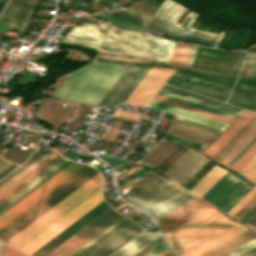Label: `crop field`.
Listing matches in <instances>:
<instances>
[{"label":"crop field","mask_w":256,"mask_h":256,"mask_svg":"<svg viewBox=\"0 0 256 256\" xmlns=\"http://www.w3.org/2000/svg\"><path fill=\"white\" fill-rule=\"evenodd\" d=\"M96 58L107 59V60H116V61H124V62L150 63V62H148L144 59L118 57V56H110V55H103V54H97ZM151 64H153V63H151ZM171 67H175V66H171ZM193 71H195V70H193ZM197 72H201V71H197ZM202 73H207V72H202Z\"/></svg>","instance_id":"39"},{"label":"crop field","mask_w":256,"mask_h":256,"mask_svg":"<svg viewBox=\"0 0 256 256\" xmlns=\"http://www.w3.org/2000/svg\"><path fill=\"white\" fill-rule=\"evenodd\" d=\"M196 45L194 46V49H193V52H192V56H191V59H190V62H189V67L191 66V63H192V60H193V56H194V53H195V50H196Z\"/></svg>","instance_id":"59"},{"label":"crop field","mask_w":256,"mask_h":256,"mask_svg":"<svg viewBox=\"0 0 256 256\" xmlns=\"http://www.w3.org/2000/svg\"><path fill=\"white\" fill-rule=\"evenodd\" d=\"M10 2H13L15 4L21 5L23 7L29 8V9H33L34 3L29 2L27 0H10Z\"/></svg>","instance_id":"49"},{"label":"crop field","mask_w":256,"mask_h":256,"mask_svg":"<svg viewBox=\"0 0 256 256\" xmlns=\"http://www.w3.org/2000/svg\"><path fill=\"white\" fill-rule=\"evenodd\" d=\"M174 69L152 67L126 102L146 105Z\"/></svg>","instance_id":"12"},{"label":"crop field","mask_w":256,"mask_h":256,"mask_svg":"<svg viewBox=\"0 0 256 256\" xmlns=\"http://www.w3.org/2000/svg\"><path fill=\"white\" fill-rule=\"evenodd\" d=\"M139 66L130 65L126 72L122 75L119 81L111 89L108 95L104 98L100 105L109 104L110 101L115 97L119 90L124 86V84L129 80L133 73L138 69ZM112 102V101H111Z\"/></svg>","instance_id":"30"},{"label":"crop field","mask_w":256,"mask_h":256,"mask_svg":"<svg viewBox=\"0 0 256 256\" xmlns=\"http://www.w3.org/2000/svg\"><path fill=\"white\" fill-rule=\"evenodd\" d=\"M29 1H32V2L36 3L37 0H29Z\"/></svg>","instance_id":"65"},{"label":"crop field","mask_w":256,"mask_h":256,"mask_svg":"<svg viewBox=\"0 0 256 256\" xmlns=\"http://www.w3.org/2000/svg\"><path fill=\"white\" fill-rule=\"evenodd\" d=\"M126 217H121L119 220H117L115 223H113L111 226H109L107 229H105L103 232H101L100 234H98L96 237H94L92 240H90L88 243H86L84 246H82L80 249H78L77 251H75L73 254H71L70 256H75L77 255L79 252H81L83 249H85L87 246H89L91 243H93L95 240H97L99 237H101L103 234H105L107 231H109L111 228H113L115 225H117L119 222H121L123 219H125Z\"/></svg>","instance_id":"42"},{"label":"crop field","mask_w":256,"mask_h":256,"mask_svg":"<svg viewBox=\"0 0 256 256\" xmlns=\"http://www.w3.org/2000/svg\"><path fill=\"white\" fill-rule=\"evenodd\" d=\"M16 167H18L17 165L13 164L11 165L9 168H7L5 171H3L0 174V179H2L4 176H6L8 173H10L12 170H14Z\"/></svg>","instance_id":"56"},{"label":"crop field","mask_w":256,"mask_h":256,"mask_svg":"<svg viewBox=\"0 0 256 256\" xmlns=\"http://www.w3.org/2000/svg\"><path fill=\"white\" fill-rule=\"evenodd\" d=\"M256 194V185L228 212L232 217Z\"/></svg>","instance_id":"40"},{"label":"crop field","mask_w":256,"mask_h":256,"mask_svg":"<svg viewBox=\"0 0 256 256\" xmlns=\"http://www.w3.org/2000/svg\"><path fill=\"white\" fill-rule=\"evenodd\" d=\"M244 62L256 63V44L248 48Z\"/></svg>","instance_id":"44"},{"label":"crop field","mask_w":256,"mask_h":256,"mask_svg":"<svg viewBox=\"0 0 256 256\" xmlns=\"http://www.w3.org/2000/svg\"><path fill=\"white\" fill-rule=\"evenodd\" d=\"M247 229L237 223L178 256H200Z\"/></svg>","instance_id":"17"},{"label":"crop field","mask_w":256,"mask_h":256,"mask_svg":"<svg viewBox=\"0 0 256 256\" xmlns=\"http://www.w3.org/2000/svg\"><path fill=\"white\" fill-rule=\"evenodd\" d=\"M252 77H256V66H255L254 73H253Z\"/></svg>","instance_id":"62"},{"label":"crop field","mask_w":256,"mask_h":256,"mask_svg":"<svg viewBox=\"0 0 256 256\" xmlns=\"http://www.w3.org/2000/svg\"><path fill=\"white\" fill-rule=\"evenodd\" d=\"M67 160H62L60 163H58L56 166H54L52 169H50L48 172H46L44 175H42L40 178H38L36 181L31 183L29 186H27L25 189H23L21 192H19L17 195H15L13 198H11L9 201H7L5 204L0 206V211L4 209L6 206H8L10 203H12L14 200H16L18 197H20L22 194H24L26 191H28L30 188H32L34 185H36L38 182H40L42 179L47 177L49 174H51L53 171H55L57 168H59L61 165H63Z\"/></svg>","instance_id":"35"},{"label":"crop field","mask_w":256,"mask_h":256,"mask_svg":"<svg viewBox=\"0 0 256 256\" xmlns=\"http://www.w3.org/2000/svg\"><path fill=\"white\" fill-rule=\"evenodd\" d=\"M254 113L244 111L218 138L208 145L202 152L212 156L232 135H234Z\"/></svg>","instance_id":"18"},{"label":"crop field","mask_w":256,"mask_h":256,"mask_svg":"<svg viewBox=\"0 0 256 256\" xmlns=\"http://www.w3.org/2000/svg\"><path fill=\"white\" fill-rule=\"evenodd\" d=\"M3 13L8 14L10 16H13L15 18H18V19L26 22L31 13V10H28L26 8H23V7H20L18 5L8 2L5 9L3 10Z\"/></svg>","instance_id":"32"},{"label":"crop field","mask_w":256,"mask_h":256,"mask_svg":"<svg viewBox=\"0 0 256 256\" xmlns=\"http://www.w3.org/2000/svg\"><path fill=\"white\" fill-rule=\"evenodd\" d=\"M62 159H64V158L61 157L60 155L57 156L55 159H53L51 162H49L47 165H45L43 168H41L39 171H37L31 177H29L27 180H25L23 183H21L19 186H17L11 192H9L7 195H5L3 198H1L0 205L5 203L7 200H9L11 197H13L15 194H17L19 191H21L23 188H25L31 182L36 180L38 177H40L42 174H44L46 171H48L50 168H52L54 165H56L58 162H60Z\"/></svg>","instance_id":"26"},{"label":"crop field","mask_w":256,"mask_h":256,"mask_svg":"<svg viewBox=\"0 0 256 256\" xmlns=\"http://www.w3.org/2000/svg\"><path fill=\"white\" fill-rule=\"evenodd\" d=\"M148 106L162 109V110L168 111L170 113H173V114H176V115H179V116H182V117H185V118L197 121V122H201V123H204V124H207V125H210V126L222 129V130H224L228 126V124H225V123L213 120V119H209V118H206V117H203V116H200V115H197V114H194V113H191V112H188V111H185V110L173 107V106H169V105H166V104L154 101V100H152Z\"/></svg>","instance_id":"19"},{"label":"crop field","mask_w":256,"mask_h":256,"mask_svg":"<svg viewBox=\"0 0 256 256\" xmlns=\"http://www.w3.org/2000/svg\"><path fill=\"white\" fill-rule=\"evenodd\" d=\"M256 155V143L253 144L230 168L240 171Z\"/></svg>","instance_id":"34"},{"label":"crop field","mask_w":256,"mask_h":256,"mask_svg":"<svg viewBox=\"0 0 256 256\" xmlns=\"http://www.w3.org/2000/svg\"><path fill=\"white\" fill-rule=\"evenodd\" d=\"M190 150H191V149L186 150V151L180 156V158L165 172V174H166V173H167V172H168V171L186 154V153H188ZM191 151H192V150H191ZM191 151H190V152H191ZM190 152H189V153H190ZM189 153H188V154H189ZM195 153H196V152L192 151L189 155L187 154L188 156L185 155V156H184V157L166 174V175L168 176V175L170 174V172L187 156V157L171 172V174L168 176V177L171 178L179 169H181V168L183 167V165H184L188 160H190V159L194 156ZM200 155H201V154L196 153L195 156H194L190 161H188V162L184 165V167H183L180 171H178L171 179H173V180L175 181L181 174H183V173L188 169V167H189ZM202 157H203V156L201 155V156L190 166V168H189L183 175H181L175 182L177 183V182H178V181H179V180H180V179H181V178H182V177H183V176H184V175L202 158ZM203 158H204V157H203ZM203 158H202V159H203ZM202 159H201V160H202ZM201 160H200V161H201ZM200 161H199V162H200ZM199 162H198V163H199ZM198 163H197V164H198ZM197 164H196V165H197ZM196 165H195V166H196ZM195 166H194V167H195ZM194 167H193V168H194ZM193 168H192V169H193ZM192 169H191V170H192ZM191 170H190V171H191ZM190 171H189V172H190ZM189 172H188V173H189ZM188 173H187V174H188ZM187 174H186V175H187ZM186 175H185V176H186ZM185 176H184V177H185ZM184 177H183V178H184ZM183 178H182V179H183ZM182 179H181V180H182ZM181 180H180V181H181ZM180 181H179V182H180ZM179 182H178V183H179Z\"/></svg>","instance_id":"22"},{"label":"crop field","mask_w":256,"mask_h":256,"mask_svg":"<svg viewBox=\"0 0 256 256\" xmlns=\"http://www.w3.org/2000/svg\"><path fill=\"white\" fill-rule=\"evenodd\" d=\"M224 214L215 209H210L201 215L189 220L188 222L178 226L177 228L165 233L168 243H172L181 237L191 233L192 231L202 227L203 225L213 221Z\"/></svg>","instance_id":"16"},{"label":"crop field","mask_w":256,"mask_h":256,"mask_svg":"<svg viewBox=\"0 0 256 256\" xmlns=\"http://www.w3.org/2000/svg\"><path fill=\"white\" fill-rule=\"evenodd\" d=\"M53 152L54 151H52L51 149L48 150L46 153H44L42 156H40L38 159H36L34 162H32L26 168H24L22 171H20L18 174H16L10 180H8L6 183H4L2 186H0V192L3 191L5 188H7L9 185H11L13 182H15L17 179H19L21 176H23L25 173H27L29 170H31L33 167H35L37 164H39L41 161H43L45 158H47L49 155H51Z\"/></svg>","instance_id":"33"},{"label":"crop field","mask_w":256,"mask_h":256,"mask_svg":"<svg viewBox=\"0 0 256 256\" xmlns=\"http://www.w3.org/2000/svg\"><path fill=\"white\" fill-rule=\"evenodd\" d=\"M150 171H151V170H150ZM148 172H149V171H148ZM146 173H147V172H146ZM153 173H155V172H154V171H151V172H149V173H147V174L144 173L145 175L142 174L143 176L140 175L141 177L138 176L139 178L136 177L137 179L134 178L135 180L132 179L133 181L130 180L131 182L128 181L129 183L126 182L127 184L124 183L125 185L122 184L123 186L120 185L121 187H119V186H118V187H119V189H121V188H123V187H125V186H127V185H129V184H131V183H134V182H136V181H138V180H140V179H142V178H145V177H147V176H149V175H151V174H153Z\"/></svg>","instance_id":"53"},{"label":"crop field","mask_w":256,"mask_h":256,"mask_svg":"<svg viewBox=\"0 0 256 256\" xmlns=\"http://www.w3.org/2000/svg\"><path fill=\"white\" fill-rule=\"evenodd\" d=\"M162 89H165V90H168V91H171V92H174V93H177V94H180V95H183V96H186V97L198 100V101H202V102H205V103H208V104H211V105H214V106H217V107H220V108H223V109H226V110L238 113V114H240L243 111L241 109H238V108L226 105V104H222V103H219V102H216V101H213V100H210V99H207V98H204V97H201V96H198V95L186 92V91H182V90H179V89L167 86V85H163Z\"/></svg>","instance_id":"29"},{"label":"crop field","mask_w":256,"mask_h":256,"mask_svg":"<svg viewBox=\"0 0 256 256\" xmlns=\"http://www.w3.org/2000/svg\"><path fill=\"white\" fill-rule=\"evenodd\" d=\"M117 9H122V7L114 4L113 10ZM107 17L146 27L172 37L204 42L210 46H214V48H216L219 40L223 35L222 32L220 35H216L191 28L189 31L185 32L169 26L161 21H154L155 19L131 9L117 10L109 14ZM181 33L182 35H180Z\"/></svg>","instance_id":"6"},{"label":"crop field","mask_w":256,"mask_h":256,"mask_svg":"<svg viewBox=\"0 0 256 256\" xmlns=\"http://www.w3.org/2000/svg\"><path fill=\"white\" fill-rule=\"evenodd\" d=\"M254 66H255V65L249 64V67H248V69H247V72H246V75H245V76H248V77H251V76H252Z\"/></svg>","instance_id":"57"},{"label":"crop field","mask_w":256,"mask_h":256,"mask_svg":"<svg viewBox=\"0 0 256 256\" xmlns=\"http://www.w3.org/2000/svg\"><path fill=\"white\" fill-rule=\"evenodd\" d=\"M174 44L140 30L110 24L99 52L139 56L168 64Z\"/></svg>","instance_id":"2"},{"label":"crop field","mask_w":256,"mask_h":256,"mask_svg":"<svg viewBox=\"0 0 256 256\" xmlns=\"http://www.w3.org/2000/svg\"><path fill=\"white\" fill-rule=\"evenodd\" d=\"M256 142V137L249 142L228 164L227 166H231L253 143Z\"/></svg>","instance_id":"46"},{"label":"crop field","mask_w":256,"mask_h":256,"mask_svg":"<svg viewBox=\"0 0 256 256\" xmlns=\"http://www.w3.org/2000/svg\"><path fill=\"white\" fill-rule=\"evenodd\" d=\"M249 181L256 182V156L239 172Z\"/></svg>","instance_id":"38"},{"label":"crop field","mask_w":256,"mask_h":256,"mask_svg":"<svg viewBox=\"0 0 256 256\" xmlns=\"http://www.w3.org/2000/svg\"><path fill=\"white\" fill-rule=\"evenodd\" d=\"M256 237V232L249 229L240 235L232 238L231 240L223 243L222 245L214 248L213 250L205 253L202 256H222L229 251L239 247L240 245L250 241L251 239Z\"/></svg>","instance_id":"21"},{"label":"crop field","mask_w":256,"mask_h":256,"mask_svg":"<svg viewBox=\"0 0 256 256\" xmlns=\"http://www.w3.org/2000/svg\"><path fill=\"white\" fill-rule=\"evenodd\" d=\"M256 214V206L241 220L243 223H247Z\"/></svg>","instance_id":"52"},{"label":"crop field","mask_w":256,"mask_h":256,"mask_svg":"<svg viewBox=\"0 0 256 256\" xmlns=\"http://www.w3.org/2000/svg\"><path fill=\"white\" fill-rule=\"evenodd\" d=\"M235 223L236 222L232 221L224 215L202 227L201 229L193 232L192 234L186 236L185 238L170 245V247L178 255Z\"/></svg>","instance_id":"13"},{"label":"crop field","mask_w":256,"mask_h":256,"mask_svg":"<svg viewBox=\"0 0 256 256\" xmlns=\"http://www.w3.org/2000/svg\"><path fill=\"white\" fill-rule=\"evenodd\" d=\"M127 0H123L119 5H123Z\"/></svg>","instance_id":"63"},{"label":"crop field","mask_w":256,"mask_h":256,"mask_svg":"<svg viewBox=\"0 0 256 256\" xmlns=\"http://www.w3.org/2000/svg\"><path fill=\"white\" fill-rule=\"evenodd\" d=\"M255 254H256V250L253 251V252H251L250 254H248V255H246V256H253V255H255Z\"/></svg>","instance_id":"61"},{"label":"crop field","mask_w":256,"mask_h":256,"mask_svg":"<svg viewBox=\"0 0 256 256\" xmlns=\"http://www.w3.org/2000/svg\"><path fill=\"white\" fill-rule=\"evenodd\" d=\"M210 208L208 203L197 197L158 220L167 232Z\"/></svg>","instance_id":"14"},{"label":"crop field","mask_w":256,"mask_h":256,"mask_svg":"<svg viewBox=\"0 0 256 256\" xmlns=\"http://www.w3.org/2000/svg\"><path fill=\"white\" fill-rule=\"evenodd\" d=\"M225 173L226 171L215 165L190 191L201 197Z\"/></svg>","instance_id":"25"},{"label":"crop field","mask_w":256,"mask_h":256,"mask_svg":"<svg viewBox=\"0 0 256 256\" xmlns=\"http://www.w3.org/2000/svg\"><path fill=\"white\" fill-rule=\"evenodd\" d=\"M126 66L93 61L70 73L53 97L96 105Z\"/></svg>","instance_id":"1"},{"label":"crop field","mask_w":256,"mask_h":256,"mask_svg":"<svg viewBox=\"0 0 256 256\" xmlns=\"http://www.w3.org/2000/svg\"><path fill=\"white\" fill-rule=\"evenodd\" d=\"M168 251V249L166 248L165 250H163L161 253H159L157 256H163L165 255Z\"/></svg>","instance_id":"60"},{"label":"crop field","mask_w":256,"mask_h":256,"mask_svg":"<svg viewBox=\"0 0 256 256\" xmlns=\"http://www.w3.org/2000/svg\"><path fill=\"white\" fill-rule=\"evenodd\" d=\"M80 168L82 167L72 164L68 165L66 168H64L54 177L49 179L35 191H33L20 202L15 204L13 207H11L0 216V228H2L4 225H6L8 222H10L12 219H14L16 216H18L20 213H22L24 210H26L28 207H30L32 204L42 198L44 195H46L48 192H50L52 189H54L56 186H58L60 183H62L64 180H66L68 177L78 171Z\"/></svg>","instance_id":"10"},{"label":"crop field","mask_w":256,"mask_h":256,"mask_svg":"<svg viewBox=\"0 0 256 256\" xmlns=\"http://www.w3.org/2000/svg\"><path fill=\"white\" fill-rule=\"evenodd\" d=\"M227 103L256 112V80L239 77Z\"/></svg>","instance_id":"15"},{"label":"crop field","mask_w":256,"mask_h":256,"mask_svg":"<svg viewBox=\"0 0 256 256\" xmlns=\"http://www.w3.org/2000/svg\"><path fill=\"white\" fill-rule=\"evenodd\" d=\"M154 100H157V101L169 104V105H173V106H176V107H179V108H182V109H185V110H188V111H191V112H194V113H197V114L209 117V118H213V119H216V120L228 123V124H230L232 121V119H229V118L217 115V114H213V113H210V112H207V111H204V110H201V109H198V108H195V107H192V106H189V105L177 102V101H173V100H170V99L158 96V95L155 96Z\"/></svg>","instance_id":"27"},{"label":"crop field","mask_w":256,"mask_h":256,"mask_svg":"<svg viewBox=\"0 0 256 256\" xmlns=\"http://www.w3.org/2000/svg\"><path fill=\"white\" fill-rule=\"evenodd\" d=\"M121 216L111 207L48 253L46 256H69Z\"/></svg>","instance_id":"8"},{"label":"crop field","mask_w":256,"mask_h":256,"mask_svg":"<svg viewBox=\"0 0 256 256\" xmlns=\"http://www.w3.org/2000/svg\"><path fill=\"white\" fill-rule=\"evenodd\" d=\"M172 0H165L160 7L155 11V13L152 15V17H155L157 19H161L163 15L171 8V6L174 4ZM180 5L174 4L172 8L164 15V17L161 19L162 21L168 23L169 20L172 18V16L176 13V11L179 9Z\"/></svg>","instance_id":"31"},{"label":"crop field","mask_w":256,"mask_h":256,"mask_svg":"<svg viewBox=\"0 0 256 256\" xmlns=\"http://www.w3.org/2000/svg\"><path fill=\"white\" fill-rule=\"evenodd\" d=\"M98 156L106 160L109 164H111L115 168L126 162V161H122V160H118V159H114V158H110L102 155H98Z\"/></svg>","instance_id":"47"},{"label":"crop field","mask_w":256,"mask_h":256,"mask_svg":"<svg viewBox=\"0 0 256 256\" xmlns=\"http://www.w3.org/2000/svg\"><path fill=\"white\" fill-rule=\"evenodd\" d=\"M0 256H28V255L4 244L0 251Z\"/></svg>","instance_id":"43"},{"label":"crop field","mask_w":256,"mask_h":256,"mask_svg":"<svg viewBox=\"0 0 256 256\" xmlns=\"http://www.w3.org/2000/svg\"><path fill=\"white\" fill-rule=\"evenodd\" d=\"M98 24L87 23L81 26L76 25L70 30L61 43L80 45L98 50L108 23L96 21Z\"/></svg>","instance_id":"11"},{"label":"crop field","mask_w":256,"mask_h":256,"mask_svg":"<svg viewBox=\"0 0 256 256\" xmlns=\"http://www.w3.org/2000/svg\"><path fill=\"white\" fill-rule=\"evenodd\" d=\"M57 153L53 154L51 157H49L47 160H45L43 163H41L39 166H37L35 169H33L31 172H29L27 175H25L23 178H21L19 181H17L15 184H13L11 187L6 189L4 192L0 194V198L4 196L6 193H8L10 190L15 188L17 185H19L21 182H23L25 179H27L29 176H31L33 173H35L37 170H39L41 167H43L45 164H47L49 161H51L53 158H55Z\"/></svg>","instance_id":"41"},{"label":"crop field","mask_w":256,"mask_h":256,"mask_svg":"<svg viewBox=\"0 0 256 256\" xmlns=\"http://www.w3.org/2000/svg\"><path fill=\"white\" fill-rule=\"evenodd\" d=\"M12 163L6 161V160H3L1 159L0 160V173L5 170L7 167H9Z\"/></svg>","instance_id":"55"},{"label":"crop field","mask_w":256,"mask_h":256,"mask_svg":"<svg viewBox=\"0 0 256 256\" xmlns=\"http://www.w3.org/2000/svg\"><path fill=\"white\" fill-rule=\"evenodd\" d=\"M229 173L227 172L201 197L226 213L252 187Z\"/></svg>","instance_id":"7"},{"label":"crop field","mask_w":256,"mask_h":256,"mask_svg":"<svg viewBox=\"0 0 256 256\" xmlns=\"http://www.w3.org/2000/svg\"><path fill=\"white\" fill-rule=\"evenodd\" d=\"M247 225L256 229V215L247 223Z\"/></svg>","instance_id":"58"},{"label":"crop field","mask_w":256,"mask_h":256,"mask_svg":"<svg viewBox=\"0 0 256 256\" xmlns=\"http://www.w3.org/2000/svg\"><path fill=\"white\" fill-rule=\"evenodd\" d=\"M166 142L165 141H161L154 149L153 151H157L160 147H162ZM154 154V152H150L141 162L145 163L152 155Z\"/></svg>","instance_id":"50"},{"label":"crop field","mask_w":256,"mask_h":256,"mask_svg":"<svg viewBox=\"0 0 256 256\" xmlns=\"http://www.w3.org/2000/svg\"><path fill=\"white\" fill-rule=\"evenodd\" d=\"M97 172L99 171L87 165L84 166L82 169H80L78 172H76L74 175H72L70 178H68L66 181H64L62 184H60L58 187H56L54 190H52L50 193H48L46 196H44L42 199L32 205L30 208H28L26 211H24L22 214H20L2 229H0V237L3 238L2 241L5 242L7 239H9L23 227H25L35 218L40 216L42 213H44L66 195L71 193L73 190H75Z\"/></svg>","instance_id":"4"},{"label":"crop field","mask_w":256,"mask_h":256,"mask_svg":"<svg viewBox=\"0 0 256 256\" xmlns=\"http://www.w3.org/2000/svg\"><path fill=\"white\" fill-rule=\"evenodd\" d=\"M158 95H161V96L173 99V100H177V101H180V102H183V103H186V104H189V105H192V106H195V107H198V108H201V109L213 112V113H217V114H220V115L232 118V119H234L235 117L238 116V114H235V113H232V112H229V111H226V110H223V109H220V108H217V107H214V106L202 103V102H198V101H195V100H192V99H189V98H186V97H183V96H180V95H177V94H174V93L162 90V89H160V91L158 92Z\"/></svg>","instance_id":"23"},{"label":"crop field","mask_w":256,"mask_h":256,"mask_svg":"<svg viewBox=\"0 0 256 256\" xmlns=\"http://www.w3.org/2000/svg\"><path fill=\"white\" fill-rule=\"evenodd\" d=\"M236 78L237 77L215 74H197L176 69L166 83L225 102ZM185 80L197 81L225 89Z\"/></svg>","instance_id":"5"},{"label":"crop field","mask_w":256,"mask_h":256,"mask_svg":"<svg viewBox=\"0 0 256 256\" xmlns=\"http://www.w3.org/2000/svg\"><path fill=\"white\" fill-rule=\"evenodd\" d=\"M158 236L159 232H142L111 256H133Z\"/></svg>","instance_id":"20"},{"label":"crop field","mask_w":256,"mask_h":256,"mask_svg":"<svg viewBox=\"0 0 256 256\" xmlns=\"http://www.w3.org/2000/svg\"><path fill=\"white\" fill-rule=\"evenodd\" d=\"M256 249V238L224 256H244Z\"/></svg>","instance_id":"37"},{"label":"crop field","mask_w":256,"mask_h":256,"mask_svg":"<svg viewBox=\"0 0 256 256\" xmlns=\"http://www.w3.org/2000/svg\"><path fill=\"white\" fill-rule=\"evenodd\" d=\"M208 160L205 157L179 184L183 186Z\"/></svg>","instance_id":"45"},{"label":"crop field","mask_w":256,"mask_h":256,"mask_svg":"<svg viewBox=\"0 0 256 256\" xmlns=\"http://www.w3.org/2000/svg\"><path fill=\"white\" fill-rule=\"evenodd\" d=\"M165 256H172V255H171V253L169 252V253H167Z\"/></svg>","instance_id":"64"},{"label":"crop field","mask_w":256,"mask_h":256,"mask_svg":"<svg viewBox=\"0 0 256 256\" xmlns=\"http://www.w3.org/2000/svg\"><path fill=\"white\" fill-rule=\"evenodd\" d=\"M164 139L178 143V144H182V145H185V146L197 149V150H201L202 148L205 147V145H202V144H199V143H196V142H193V141H190V140H187V139H184V138H181V137L169 134V133H167V135L165 136Z\"/></svg>","instance_id":"36"},{"label":"crop field","mask_w":256,"mask_h":256,"mask_svg":"<svg viewBox=\"0 0 256 256\" xmlns=\"http://www.w3.org/2000/svg\"><path fill=\"white\" fill-rule=\"evenodd\" d=\"M194 45L175 44L169 64L187 66Z\"/></svg>","instance_id":"28"},{"label":"crop field","mask_w":256,"mask_h":256,"mask_svg":"<svg viewBox=\"0 0 256 256\" xmlns=\"http://www.w3.org/2000/svg\"><path fill=\"white\" fill-rule=\"evenodd\" d=\"M101 189H99L57 222H55L53 225H51L49 228H47L45 231H43L25 246H23L20 250L29 254L33 253L63 229L68 227L70 224H72L74 221H76L78 218H80L82 215H84L86 212L104 200L101 195Z\"/></svg>","instance_id":"9"},{"label":"crop field","mask_w":256,"mask_h":256,"mask_svg":"<svg viewBox=\"0 0 256 256\" xmlns=\"http://www.w3.org/2000/svg\"><path fill=\"white\" fill-rule=\"evenodd\" d=\"M164 248H166V246H165L164 242H161L159 245H157L155 248H153L151 251H149L144 256H155L160 251H162Z\"/></svg>","instance_id":"48"},{"label":"crop field","mask_w":256,"mask_h":256,"mask_svg":"<svg viewBox=\"0 0 256 256\" xmlns=\"http://www.w3.org/2000/svg\"><path fill=\"white\" fill-rule=\"evenodd\" d=\"M103 180L102 176L97 173L15 236H13L10 241V245L20 248L100 187H102Z\"/></svg>","instance_id":"3"},{"label":"crop field","mask_w":256,"mask_h":256,"mask_svg":"<svg viewBox=\"0 0 256 256\" xmlns=\"http://www.w3.org/2000/svg\"><path fill=\"white\" fill-rule=\"evenodd\" d=\"M151 67L140 66L139 69L134 73L130 80L125 84V86L120 90L116 97L112 100L110 104H117L125 102L129 95L133 92L136 86L140 83L143 77L147 74Z\"/></svg>","instance_id":"24"},{"label":"crop field","mask_w":256,"mask_h":256,"mask_svg":"<svg viewBox=\"0 0 256 256\" xmlns=\"http://www.w3.org/2000/svg\"><path fill=\"white\" fill-rule=\"evenodd\" d=\"M109 1H113L118 4L121 0H109ZM94 3L100 4L112 9V3L105 2L103 0H95Z\"/></svg>","instance_id":"51"},{"label":"crop field","mask_w":256,"mask_h":256,"mask_svg":"<svg viewBox=\"0 0 256 256\" xmlns=\"http://www.w3.org/2000/svg\"><path fill=\"white\" fill-rule=\"evenodd\" d=\"M2 243H0V247H1Z\"/></svg>","instance_id":"66"},{"label":"crop field","mask_w":256,"mask_h":256,"mask_svg":"<svg viewBox=\"0 0 256 256\" xmlns=\"http://www.w3.org/2000/svg\"><path fill=\"white\" fill-rule=\"evenodd\" d=\"M47 101H48L47 98H43L42 97V99L40 101V105H39L38 111H37V114L35 113L38 117H39L40 113L42 112L44 106L46 105Z\"/></svg>","instance_id":"54"}]
</instances>
